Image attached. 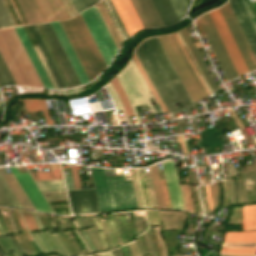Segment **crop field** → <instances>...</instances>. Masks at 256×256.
Masks as SVG:
<instances>
[{
  "instance_id": "obj_1",
  "label": "crop field",
  "mask_w": 256,
  "mask_h": 256,
  "mask_svg": "<svg viewBox=\"0 0 256 256\" xmlns=\"http://www.w3.org/2000/svg\"><path fill=\"white\" fill-rule=\"evenodd\" d=\"M89 81L106 67L80 14L70 20L60 21Z\"/></svg>"
},
{
  "instance_id": "obj_2",
  "label": "crop field",
  "mask_w": 256,
  "mask_h": 256,
  "mask_svg": "<svg viewBox=\"0 0 256 256\" xmlns=\"http://www.w3.org/2000/svg\"><path fill=\"white\" fill-rule=\"evenodd\" d=\"M0 52L17 85L43 87L14 28L0 30Z\"/></svg>"
},
{
  "instance_id": "obj_3",
  "label": "crop field",
  "mask_w": 256,
  "mask_h": 256,
  "mask_svg": "<svg viewBox=\"0 0 256 256\" xmlns=\"http://www.w3.org/2000/svg\"><path fill=\"white\" fill-rule=\"evenodd\" d=\"M90 169L100 212L137 208L131 181L106 182L103 169Z\"/></svg>"
},
{
  "instance_id": "obj_4",
  "label": "crop field",
  "mask_w": 256,
  "mask_h": 256,
  "mask_svg": "<svg viewBox=\"0 0 256 256\" xmlns=\"http://www.w3.org/2000/svg\"><path fill=\"white\" fill-rule=\"evenodd\" d=\"M158 38L193 102L206 98L207 94L202 88V84L200 85L174 34L158 36Z\"/></svg>"
},
{
  "instance_id": "obj_5",
  "label": "crop field",
  "mask_w": 256,
  "mask_h": 256,
  "mask_svg": "<svg viewBox=\"0 0 256 256\" xmlns=\"http://www.w3.org/2000/svg\"><path fill=\"white\" fill-rule=\"evenodd\" d=\"M116 78H117L120 86L122 87L128 101H129V104L131 106V109L133 111V114H134V117H135V120H136L137 124H139L141 122H140L138 114H137V112L134 108V105H133V103L130 99L132 97L142 95L144 100L146 101L147 105L149 106L150 110L152 111V113H155L156 110L154 109V107L152 106L151 102L148 99V98L153 97L155 102L159 106L160 110L162 111V113H164L163 110L161 109L160 105L156 101L155 97L151 93L150 89L146 85L145 81L141 77L140 73L136 69V67H135V65H134V63L132 62L131 59L128 62V64L125 66V68L122 69L116 75Z\"/></svg>"
},
{
  "instance_id": "obj_6",
  "label": "crop field",
  "mask_w": 256,
  "mask_h": 256,
  "mask_svg": "<svg viewBox=\"0 0 256 256\" xmlns=\"http://www.w3.org/2000/svg\"><path fill=\"white\" fill-rule=\"evenodd\" d=\"M106 65L118 51L95 6L80 13Z\"/></svg>"
},
{
  "instance_id": "obj_7",
  "label": "crop field",
  "mask_w": 256,
  "mask_h": 256,
  "mask_svg": "<svg viewBox=\"0 0 256 256\" xmlns=\"http://www.w3.org/2000/svg\"><path fill=\"white\" fill-rule=\"evenodd\" d=\"M200 35L205 34L227 80L237 77V73L222 45V42L208 16L204 14L195 20Z\"/></svg>"
},
{
  "instance_id": "obj_8",
  "label": "crop field",
  "mask_w": 256,
  "mask_h": 256,
  "mask_svg": "<svg viewBox=\"0 0 256 256\" xmlns=\"http://www.w3.org/2000/svg\"><path fill=\"white\" fill-rule=\"evenodd\" d=\"M223 44L224 47L238 73V75H243L245 73H248V69L239 53V50L228 30V27L219 11V9L217 10H213L208 12Z\"/></svg>"
},
{
  "instance_id": "obj_9",
  "label": "crop field",
  "mask_w": 256,
  "mask_h": 256,
  "mask_svg": "<svg viewBox=\"0 0 256 256\" xmlns=\"http://www.w3.org/2000/svg\"><path fill=\"white\" fill-rule=\"evenodd\" d=\"M219 9L229 27V30L239 48V50H240V53L247 65L249 71L256 69V61L248 47V44L238 26V23L228 5V3L219 7Z\"/></svg>"
},
{
  "instance_id": "obj_10",
  "label": "crop field",
  "mask_w": 256,
  "mask_h": 256,
  "mask_svg": "<svg viewBox=\"0 0 256 256\" xmlns=\"http://www.w3.org/2000/svg\"><path fill=\"white\" fill-rule=\"evenodd\" d=\"M71 87L73 86H77L80 85V82L66 56V54L64 53L50 23H44V24H40Z\"/></svg>"
},
{
  "instance_id": "obj_11",
  "label": "crop field",
  "mask_w": 256,
  "mask_h": 256,
  "mask_svg": "<svg viewBox=\"0 0 256 256\" xmlns=\"http://www.w3.org/2000/svg\"><path fill=\"white\" fill-rule=\"evenodd\" d=\"M72 214L99 212L94 188L67 191Z\"/></svg>"
},
{
  "instance_id": "obj_12",
  "label": "crop field",
  "mask_w": 256,
  "mask_h": 256,
  "mask_svg": "<svg viewBox=\"0 0 256 256\" xmlns=\"http://www.w3.org/2000/svg\"><path fill=\"white\" fill-rule=\"evenodd\" d=\"M36 210L52 212L28 172L19 173L16 167H9Z\"/></svg>"
},
{
  "instance_id": "obj_13",
  "label": "crop field",
  "mask_w": 256,
  "mask_h": 256,
  "mask_svg": "<svg viewBox=\"0 0 256 256\" xmlns=\"http://www.w3.org/2000/svg\"><path fill=\"white\" fill-rule=\"evenodd\" d=\"M172 209L183 210L179 182L173 160L162 162Z\"/></svg>"
},
{
  "instance_id": "obj_14",
  "label": "crop field",
  "mask_w": 256,
  "mask_h": 256,
  "mask_svg": "<svg viewBox=\"0 0 256 256\" xmlns=\"http://www.w3.org/2000/svg\"><path fill=\"white\" fill-rule=\"evenodd\" d=\"M135 8L144 28L164 27L151 0H130Z\"/></svg>"
},
{
  "instance_id": "obj_15",
  "label": "crop field",
  "mask_w": 256,
  "mask_h": 256,
  "mask_svg": "<svg viewBox=\"0 0 256 256\" xmlns=\"http://www.w3.org/2000/svg\"><path fill=\"white\" fill-rule=\"evenodd\" d=\"M129 35L143 29V26L129 0H112Z\"/></svg>"
},
{
  "instance_id": "obj_16",
  "label": "crop field",
  "mask_w": 256,
  "mask_h": 256,
  "mask_svg": "<svg viewBox=\"0 0 256 256\" xmlns=\"http://www.w3.org/2000/svg\"><path fill=\"white\" fill-rule=\"evenodd\" d=\"M238 23L239 26L249 44V47L256 59V35L246 17V14L239 2V0H229L228 1Z\"/></svg>"
},
{
  "instance_id": "obj_17",
  "label": "crop field",
  "mask_w": 256,
  "mask_h": 256,
  "mask_svg": "<svg viewBox=\"0 0 256 256\" xmlns=\"http://www.w3.org/2000/svg\"><path fill=\"white\" fill-rule=\"evenodd\" d=\"M51 25L60 41L65 53L67 54L81 84H85V83L89 82L71 45H70V43H69V41H68V39H67V37H66V35H65V33H64V31H63V29H62V27H61V25H60V23H59V21L52 22Z\"/></svg>"
},
{
  "instance_id": "obj_18",
  "label": "crop field",
  "mask_w": 256,
  "mask_h": 256,
  "mask_svg": "<svg viewBox=\"0 0 256 256\" xmlns=\"http://www.w3.org/2000/svg\"><path fill=\"white\" fill-rule=\"evenodd\" d=\"M45 22L69 18L60 0H35Z\"/></svg>"
},
{
  "instance_id": "obj_19",
  "label": "crop field",
  "mask_w": 256,
  "mask_h": 256,
  "mask_svg": "<svg viewBox=\"0 0 256 256\" xmlns=\"http://www.w3.org/2000/svg\"><path fill=\"white\" fill-rule=\"evenodd\" d=\"M15 30H16L28 56L30 57L44 87L53 88L35 51H34V49H33V47H32V45H31V43H30V41H29V39H28V37H27V35H26V33H25V31H24V29H23V27L15 28Z\"/></svg>"
},
{
  "instance_id": "obj_20",
  "label": "crop field",
  "mask_w": 256,
  "mask_h": 256,
  "mask_svg": "<svg viewBox=\"0 0 256 256\" xmlns=\"http://www.w3.org/2000/svg\"><path fill=\"white\" fill-rule=\"evenodd\" d=\"M180 32H181L182 36L184 37L185 41L187 42L196 62L198 63L199 67L201 68L202 72L204 73L205 77L207 78L209 84L211 85V87L214 91L215 89H217V86H216L213 78L211 77L198 49L196 48L187 28Z\"/></svg>"
},
{
  "instance_id": "obj_21",
  "label": "crop field",
  "mask_w": 256,
  "mask_h": 256,
  "mask_svg": "<svg viewBox=\"0 0 256 256\" xmlns=\"http://www.w3.org/2000/svg\"><path fill=\"white\" fill-rule=\"evenodd\" d=\"M0 173L2 174L3 178L11 188L12 192L20 202L21 206L23 209H30V210H35L33 205L31 204L30 200L18 184L17 180L13 176V174H4L3 171L0 168Z\"/></svg>"
},
{
  "instance_id": "obj_22",
  "label": "crop field",
  "mask_w": 256,
  "mask_h": 256,
  "mask_svg": "<svg viewBox=\"0 0 256 256\" xmlns=\"http://www.w3.org/2000/svg\"><path fill=\"white\" fill-rule=\"evenodd\" d=\"M28 23H41L44 22L34 0H17Z\"/></svg>"
},
{
  "instance_id": "obj_23",
  "label": "crop field",
  "mask_w": 256,
  "mask_h": 256,
  "mask_svg": "<svg viewBox=\"0 0 256 256\" xmlns=\"http://www.w3.org/2000/svg\"><path fill=\"white\" fill-rule=\"evenodd\" d=\"M95 6H96L102 20L104 21L110 35L112 36L118 50H119V48L122 46L123 42H122V40H121V38H120L112 20H111V18H110L109 14L106 10L103 2H100Z\"/></svg>"
},
{
  "instance_id": "obj_24",
  "label": "crop field",
  "mask_w": 256,
  "mask_h": 256,
  "mask_svg": "<svg viewBox=\"0 0 256 256\" xmlns=\"http://www.w3.org/2000/svg\"><path fill=\"white\" fill-rule=\"evenodd\" d=\"M0 206L22 209L8 185L0 175Z\"/></svg>"
},
{
  "instance_id": "obj_25",
  "label": "crop field",
  "mask_w": 256,
  "mask_h": 256,
  "mask_svg": "<svg viewBox=\"0 0 256 256\" xmlns=\"http://www.w3.org/2000/svg\"><path fill=\"white\" fill-rule=\"evenodd\" d=\"M256 229V204L243 207V230Z\"/></svg>"
},
{
  "instance_id": "obj_26",
  "label": "crop field",
  "mask_w": 256,
  "mask_h": 256,
  "mask_svg": "<svg viewBox=\"0 0 256 256\" xmlns=\"http://www.w3.org/2000/svg\"><path fill=\"white\" fill-rule=\"evenodd\" d=\"M256 241V231L226 232L224 242H250Z\"/></svg>"
},
{
  "instance_id": "obj_27",
  "label": "crop field",
  "mask_w": 256,
  "mask_h": 256,
  "mask_svg": "<svg viewBox=\"0 0 256 256\" xmlns=\"http://www.w3.org/2000/svg\"><path fill=\"white\" fill-rule=\"evenodd\" d=\"M27 112L42 110L48 124L50 123L44 99H22Z\"/></svg>"
},
{
  "instance_id": "obj_28",
  "label": "crop field",
  "mask_w": 256,
  "mask_h": 256,
  "mask_svg": "<svg viewBox=\"0 0 256 256\" xmlns=\"http://www.w3.org/2000/svg\"><path fill=\"white\" fill-rule=\"evenodd\" d=\"M51 172L31 173L34 180L63 179L59 164H50Z\"/></svg>"
},
{
  "instance_id": "obj_29",
  "label": "crop field",
  "mask_w": 256,
  "mask_h": 256,
  "mask_svg": "<svg viewBox=\"0 0 256 256\" xmlns=\"http://www.w3.org/2000/svg\"><path fill=\"white\" fill-rule=\"evenodd\" d=\"M105 86H106V88H107V90H108V92H109V94H110V96H111V98H112V100L115 104V107H116L118 113H122L124 119L127 120L128 125H130L129 122H128V119L126 117V114L124 112V109L121 105V102L118 98V95H117L115 89L113 88L112 84L110 83V81Z\"/></svg>"
},
{
  "instance_id": "obj_30",
  "label": "crop field",
  "mask_w": 256,
  "mask_h": 256,
  "mask_svg": "<svg viewBox=\"0 0 256 256\" xmlns=\"http://www.w3.org/2000/svg\"><path fill=\"white\" fill-rule=\"evenodd\" d=\"M132 60L135 63V65L137 66L138 70L140 71V73L142 74L143 78L145 79L146 83L148 84V86L150 87L151 91L153 92L154 96L156 97V99L158 100L159 104L161 105V107L163 108L164 112H167V109L165 108V106L163 105L162 101L160 100V98L158 97V95L156 94L147 74L145 73V71L143 70L142 66L140 65V63L138 62L135 54L133 53L132 55Z\"/></svg>"
},
{
  "instance_id": "obj_31",
  "label": "crop field",
  "mask_w": 256,
  "mask_h": 256,
  "mask_svg": "<svg viewBox=\"0 0 256 256\" xmlns=\"http://www.w3.org/2000/svg\"><path fill=\"white\" fill-rule=\"evenodd\" d=\"M40 190L65 189L62 180L36 181Z\"/></svg>"
},
{
  "instance_id": "obj_32",
  "label": "crop field",
  "mask_w": 256,
  "mask_h": 256,
  "mask_svg": "<svg viewBox=\"0 0 256 256\" xmlns=\"http://www.w3.org/2000/svg\"><path fill=\"white\" fill-rule=\"evenodd\" d=\"M209 188V194H210V205L211 209H216L218 203H219V195H220V189L218 185V181H216L213 185H208Z\"/></svg>"
},
{
  "instance_id": "obj_33",
  "label": "crop field",
  "mask_w": 256,
  "mask_h": 256,
  "mask_svg": "<svg viewBox=\"0 0 256 256\" xmlns=\"http://www.w3.org/2000/svg\"><path fill=\"white\" fill-rule=\"evenodd\" d=\"M179 20L186 15L187 5L184 0H170Z\"/></svg>"
},
{
  "instance_id": "obj_34",
  "label": "crop field",
  "mask_w": 256,
  "mask_h": 256,
  "mask_svg": "<svg viewBox=\"0 0 256 256\" xmlns=\"http://www.w3.org/2000/svg\"><path fill=\"white\" fill-rule=\"evenodd\" d=\"M240 2H241L242 6H243V8H244V10L247 14V17H248L255 33H256V17H255V14H254L248 0H240Z\"/></svg>"
},
{
  "instance_id": "obj_35",
  "label": "crop field",
  "mask_w": 256,
  "mask_h": 256,
  "mask_svg": "<svg viewBox=\"0 0 256 256\" xmlns=\"http://www.w3.org/2000/svg\"><path fill=\"white\" fill-rule=\"evenodd\" d=\"M220 252L251 255V254H255L256 248H221Z\"/></svg>"
},
{
  "instance_id": "obj_36",
  "label": "crop field",
  "mask_w": 256,
  "mask_h": 256,
  "mask_svg": "<svg viewBox=\"0 0 256 256\" xmlns=\"http://www.w3.org/2000/svg\"><path fill=\"white\" fill-rule=\"evenodd\" d=\"M110 81L113 84L114 88L116 89V91H117V93H118V95L120 97V100L122 102V105H123L126 113L127 114L131 113L132 111H131V109L129 107V104H128V102H127V100H126V98H125V96H124V94H123V92H122L118 82L116 81L115 77H113Z\"/></svg>"
},
{
  "instance_id": "obj_37",
  "label": "crop field",
  "mask_w": 256,
  "mask_h": 256,
  "mask_svg": "<svg viewBox=\"0 0 256 256\" xmlns=\"http://www.w3.org/2000/svg\"><path fill=\"white\" fill-rule=\"evenodd\" d=\"M21 212H22L24 220H25V222H26V224L28 226V229L31 230V231L37 230V227H36V225H35V223L33 221L31 213L30 212H23V211H21Z\"/></svg>"
},
{
  "instance_id": "obj_38",
  "label": "crop field",
  "mask_w": 256,
  "mask_h": 256,
  "mask_svg": "<svg viewBox=\"0 0 256 256\" xmlns=\"http://www.w3.org/2000/svg\"><path fill=\"white\" fill-rule=\"evenodd\" d=\"M7 240H8V242L11 244V246L13 247V249H14V251L16 252V254L18 255V256H21V254L18 252V250L15 248V246L13 245V243L11 242V240L9 239V237L8 238H6ZM5 239V237H2V240L4 241V243L6 244V246L8 247V249H11L12 247L10 246V244L7 242V240ZM1 240V238H0V241L2 242V244L5 246V244L3 243V241ZM1 242H0V246H1V248L4 250V251H6L7 252V247L5 246V248L7 249H5L4 248V246L1 244ZM8 252H10L9 250H8ZM7 252V253H8ZM15 253H13V256H17Z\"/></svg>"
},
{
  "instance_id": "obj_39",
  "label": "crop field",
  "mask_w": 256,
  "mask_h": 256,
  "mask_svg": "<svg viewBox=\"0 0 256 256\" xmlns=\"http://www.w3.org/2000/svg\"><path fill=\"white\" fill-rule=\"evenodd\" d=\"M70 168L75 189L81 188L76 166L70 165Z\"/></svg>"
},
{
  "instance_id": "obj_40",
  "label": "crop field",
  "mask_w": 256,
  "mask_h": 256,
  "mask_svg": "<svg viewBox=\"0 0 256 256\" xmlns=\"http://www.w3.org/2000/svg\"><path fill=\"white\" fill-rule=\"evenodd\" d=\"M183 188H184V192H185V196H186L188 211L193 212L192 201H191V195H190L189 187H188V185H183Z\"/></svg>"
},
{
  "instance_id": "obj_41",
  "label": "crop field",
  "mask_w": 256,
  "mask_h": 256,
  "mask_svg": "<svg viewBox=\"0 0 256 256\" xmlns=\"http://www.w3.org/2000/svg\"><path fill=\"white\" fill-rule=\"evenodd\" d=\"M227 247H256V243H224Z\"/></svg>"
},
{
  "instance_id": "obj_42",
  "label": "crop field",
  "mask_w": 256,
  "mask_h": 256,
  "mask_svg": "<svg viewBox=\"0 0 256 256\" xmlns=\"http://www.w3.org/2000/svg\"><path fill=\"white\" fill-rule=\"evenodd\" d=\"M108 215V218H109V222H110V226H111V230H112V235H113V240H114V243H115V246H117V241H116V237H115V233H114V228H113V224H112V220H111V216H110V214H107ZM113 216V215H112ZM114 217H115V214H114ZM114 217H113V221H114ZM107 219V218H106ZM115 221H116V218H115ZM115 221H114V226H115ZM108 224V223H107ZM116 225H117V222H116ZM110 226H109V228H110ZM109 228H108V230H109ZM115 230H116V228H115ZM117 230H118V228H117ZM109 234H110V231H109ZM108 234V235H109ZM117 234V233H116ZM117 236H118V234H117ZM110 237H111V235H110ZM109 237V238H110ZM111 241H112V239H111ZM112 246H113V243H112Z\"/></svg>"
},
{
  "instance_id": "obj_43",
  "label": "crop field",
  "mask_w": 256,
  "mask_h": 256,
  "mask_svg": "<svg viewBox=\"0 0 256 256\" xmlns=\"http://www.w3.org/2000/svg\"><path fill=\"white\" fill-rule=\"evenodd\" d=\"M174 34H175V36H176V38H177V40H178L179 44L181 45V47H182V49H183V51H184V53H185L186 57L188 58V60H189V62H190V64H191V66H192V68L194 69V71H195V73H196V75H197V77H198V79H199L200 83L202 84L203 88L206 90V92L208 93V95H210L211 93L209 94L208 90L206 89L205 85L203 84V82H202V80H201L200 76L198 75V73H197L196 69L194 68V66H193V64H192V62H191V60L189 59V57H188V55H187L186 51L184 50V48H183V46H182L181 42L179 41V39H178V37H177L176 33H174Z\"/></svg>"
},
{
  "instance_id": "obj_44",
  "label": "crop field",
  "mask_w": 256,
  "mask_h": 256,
  "mask_svg": "<svg viewBox=\"0 0 256 256\" xmlns=\"http://www.w3.org/2000/svg\"><path fill=\"white\" fill-rule=\"evenodd\" d=\"M155 212H156V216H157V220H158V211H155ZM145 213H146L148 225H155L152 211H145ZM156 216H155V218H156ZM157 220H156V223H157ZM158 224H159V222H158Z\"/></svg>"
},
{
  "instance_id": "obj_45",
  "label": "crop field",
  "mask_w": 256,
  "mask_h": 256,
  "mask_svg": "<svg viewBox=\"0 0 256 256\" xmlns=\"http://www.w3.org/2000/svg\"><path fill=\"white\" fill-rule=\"evenodd\" d=\"M72 2L74 4L77 12H80V11L86 9V7H85V5H84L82 0H72Z\"/></svg>"
},
{
  "instance_id": "obj_46",
  "label": "crop field",
  "mask_w": 256,
  "mask_h": 256,
  "mask_svg": "<svg viewBox=\"0 0 256 256\" xmlns=\"http://www.w3.org/2000/svg\"><path fill=\"white\" fill-rule=\"evenodd\" d=\"M43 235V237L45 238V240L47 241V243L49 244V246L52 248V250H57L56 252H59V250L56 248V246L54 245V243L51 241V239L49 238V236L47 235V232L44 231L41 233Z\"/></svg>"
},
{
  "instance_id": "obj_47",
  "label": "crop field",
  "mask_w": 256,
  "mask_h": 256,
  "mask_svg": "<svg viewBox=\"0 0 256 256\" xmlns=\"http://www.w3.org/2000/svg\"><path fill=\"white\" fill-rule=\"evenodd\" d=\"M97 221L99 223L100 228L103 230L101 222H100V219L97 218ZM99 233H100V237H101V240H102V243H103L104 247H108L107 242H106V238H105V235H104V232L100 231Z\"/></svg>"
},
{
  "instance_id": "obj_48",
  "label": "crop field",
  "mask_w": 256,
  "mask_h": 256,
  "mask_svg": "<svg viewBox=\"0 0 256 256\" xmlns=\"http://www.w3.org/2000/svg\"><path fill=\"white\" fill-rule=\"evenodd\" d=\"M60 233H61V235L64 237V239L67 241V239L65 238V236L63 235V233H62V232H60ZM60 233H58V234L60 235ZM64 233H65V232H64ZM61 235H60V237L63 239V237H62ZM65 235H66V234H65ZM66 236H67V235H66ZM67 238H68V237H67ZM64 239H63V241L66 243V241H65ZM70 242H71V241H70ZM67 243L69 244L68 241H67ZM67 243H66L67 247H68L69 250L72 252V250H73V248H74V247H73L74 245L72 246V247H73V248H72V247H71L72 244H71V243H70L71 245L69 244V246H70L71 249H72V250H71ZM74 250H75V248H74ZM74 250H73V252L75 253V255H77V253L75 252L77 249H76L75 251H74ZM73 252H72V254L74 255ZM77 252H78V251H77ZM78 254H79V252H78Z\"/></svg>"
},
{
  "instance_id": "obj_49",
  "label": "crop field",
  "mask_w": 256,
  "mask_h": 256,
  "mask_svg": "<svg viewBox=\"0 0 256 256\" xmlns=\"http://www.w3.org/2000/svg\"><path fill=\"white\" fill-rule=\"evenodd\" d=\"M176 137H177V139H178V141H179V143H180V146H181V148H182L183 153H184V154H188L187 149H186V147H185V145H184V143H183L181 137H180V136H176Z\"/></svg>"
},
{
  "instance_id": "obj_50",
  "label": "crop field",
  "mask_w": 256,
  "mask_h": 256,
  "mask_svg": "<svg viewBox=\"0 0 256 256\" xmlns=\"http://www.w3.org/2000/svg\"><path fill=\"white\" fill-rule=\"evenodd\" d=\"M15 211H16L17 217H18V219L20 221V224H21V227H22L23 231L26 233V235L28 236L29 240H31V237L28 235V233H27V231H26V229H25V227H24V225L22 223V220H21V217H20L18 211L17 210H15Z\"/></svg>"
},
{
  "instance_id": "obj_51",
  "label": "crop field",
  "mask_w": 256,
  "mask_h": 256,
  "mask_svg": "<svg viewBox=\"0 0 256 256\" xmlns=\"http://www.w3.org/2000/svg\"><path fill=\"white\" fill-rule=\"evenodd\" d=\"M83 1H84L87 8L90 7L91 5L99 2V0H83Z\"/></svg>"
},
{
  "instance_id": "obj_52",
  "label": "crop field",
  "mask_w": 256,
  "mask_h": 256,
  "mask_svg": "<svg viewBox=\"0 0 256 256\" xmlns=\"http://www.w3.org/2000/svg\"><path fill=\"white\" fill-rule=\"evenodd\" d=\"M21 214V213H20ZM22 217V215H21ZM22 220H23V217H22ZM23 223H24V220H23ZM25 225V223H24ZM26 227V226H25ZM27 229V228H26ZM28 231V230H27ZM29 232V231H28ZM30 236L33 238V240L35 241V243L37 244V246L40 248V250L42 251V253H44V250L41 248V246L38 244V242L36 241V239L33 237V235L30 233Z\"/></svg>"
},
{
  "instance_id": "obj_53",
  "label": "crop field",
  "mask_w": 256,
  "mask_h": 256,
  "mask_svg": "<svg viewBox=\"0 0 256 256\" xmlns=\"http://www.w3.org/2000/svg\"><path fill=\"white\" fill-rule=\"evenodd\" d=\"M58 240L60 241V243L62 244V246L64 247V249L67 251V253L69 254V256H72V254L70 253V251L67 249L66 245L63 243V241L60 239L59 236H57Z\"/></svg>"
},
{
  "instance_id": "obj_54",
  "label": "crop field",
  "mask_w": 256,
  "mask_h": 256,
  "mask_svg": "<svg viewBox=\"0 0 256 256\" xmlns=\"http://www.w3.org/2000/svg\"><path fill=\"white\" fill-rule=\"evenodd\" d=\"M33 235H34L35 238L38 240V242L40 243V245L42 246V248L45 250V252H48L47 249L45 248V246L43 245V243L40 241V239H39L38 236L36 235V233H33Z\"/></svg>"
},
{
  "instance_id": "obj_55",
  "label": "crop field",
  "mask_w": 256,
  "mask_h": 256,
  "mask_svg": "<svg viewBox=\"0 0 256 256\" xmlns=\"http://www.w3.org/2000/svg\"><path fill=\"white\" fill-rule=\"evenodd\" d=\"M74 220L78 224L79 227H84L81 220H80V217H76V218H74Z\"/></svg>"
},
{
  "instance_id": "obj_56",
  "label": "crop field",
  "mask_w": 256,
  "mask_h": 256,
  "mask_svg": "<svg viewBox=\"0 0 256 256\" xmlns=\"http://www.w3.org/2000/svg\"><path fill=\"white\" fill-rule=\"evenodd\" d=\"M38 235L40 234V233H37ZM40 237H41V239H42V241H43V243H44V245L46 246V248L49 250V251H51V248L48 246V244L45 242V240L43 239V237L40 235ZM39 237V238H40Z\"/></svg>"
},
{
  "instance_id": "obj_57",
  "label": "crop field",
  "mask_w": 256,
  "mask_h": 256,
  "mask_svg": "<svg viewBox=\"0 0 256 256\" xmlns=\"http://www.w3.org/2000/svg\"><path fill=\"white\" fill-rule=\"evenodd\" d=\"M100 256H112V255H111V252L108 251V252H105V253H101Z\"/></svg>"
},
{
  "instance_id": "obj_58",
  "label": "crop field",
  "mask_w": 256,
  "mask_h": 256,
  "mask_svg": "<svg viewBox=\"0 0 256 256\" xmlns=\"http://www.w3.org/2000/svg\"><path fill=\"white\" fill-rule=\"evenodd\" d=\"M52 236H53V238L56 240V242L58 243V245L61 247V245H60V243H59V241L56 239V237L54 236V234H52ZM61 249L63 250V248L61 247ZM63 252L65 253V251L63 250ZM66 254V253H65ZM66 256H67V254H66Z\"/></svg>"
},
{
  "instance_id": "obj_59",
  "label": "crop field",
  "mask_w": 256,
  "mask_h": 256,
  "mask_svg": "<svg viewBox=\"0 0 256 256\" xmlns=\"http://www.w3.org/2000/svg\"><path fill=\"white\" fill-rule=\"evenodd\" d=\"M49 236L51 237V239L54 241L55 245L58 247V249L62 252V250L59 248V246L56 244L55 240L52 238L51 234L49 233V231H47ZM63 253V252H62ZM64 254V253H63Z\"/></svg>"
},
{
  "instance_id": "obj_60",
  "label": "crop field",
  "mask_w": 256,
  "mask_h": 256,
  "mask_svg": "<svg viewBox=\"0 0 256 256\" xmlns=\"http://www.w3.org/2000/svg\"><path fill=\"white\" fill-rule=\"evenodd\" d=\"M32 244L35 247V249L37 250L38 254H41L40 250L37 248V246L35 245L34 241H32Z\"/></svg>"
},
{
  "instance_id": "obj_61",
  "label": "crop field",
  "mask_w": 256,
  "mask_h": 256,
  "mask_svg": "<svg viewBox=\"0 0 256 256\" xmlns=\"http://www.w3.org/2000/svg\"><path fill=\"white\" fill-rule=\"evenodd\" d=\"M74 230H75V232L77 233V235L80 237V235L78 234L77 230H76V229H74ZM80 239H81V237H80ZM81 240H82V239H81ZM82 242H83V241H82ZM83 244H84V242H83ZM84 245H85V244H84ZM85 247H86V249L88 250V252H90L86 245H85Z\"/></svg>"
},
{
  "instance_id": "obj_62",
  "label": "crop field",
  "mask_w": 256,
  "mask_h": 256,
  "mask_svg": "<svg viewBox=\"0 0 256 256\" xmlns=\"http://www.w3.org/2000/svg\"><path fill=\"white\" fill-rule=\"evenodd\" d=\"M93 220H94V222H95V224H96L97 229H100L99 226H98V223H97V221H96V218H94Z\"/></svg>"
},
{
  "instance_id": "obj_63",
  "label": "crop field",
  "mask_w": 256,
  "mask_h": 256,
  "mask_svg": "<svg viewBox=\"0 0 256 256\" xmlns=\"http://www.w3.org/2000/svg\"><path fill=\"white\" fill-rule=\"evenodd\" d=\"M205 188H206V193H207V198H208V189H207V185L205 186ZM208 203H209V198H208ZM209 207H210V205H209ZM211 210V209H210Z\"/></svg>"
},
{
  "instance_id": "obj_64",
  "label": "crop field",
  "mask_w": 256,
  "mask_h": 256,
  "mask_svg": "<svg viewBox=\"0 0 256 256\" xmlns=\"http://www.w3.org/2000/svg\"><path fill=\"white\" fill-rule=\"evenodd\" d=\"M228 182H229V185H230V195H231V184H230V181H228ZM232 189H233V185H232ZM232 203H233V201H232Z\"/></svg>"
},
{
  "instance_id": "obj_65",
  "label": "crop field",
  "mask_w": 256,
  "mask_h": 256,
  "mask_svg": "<svg viewBox=\"0 0 256 256\" xmlns=\"http://www.w3.org/2000/svg\"><path fill=\"white\" fill-rule=\"evenodd\" d=\"M186 2H187V4H188V6H189V4H190L191 0H186Z\"/></svg>"
},
{
  "instance_id": "obj_66",
  "label": "crop field",
  "mask_w": 256,
  "mask_h": 256,
  "mask_svg": "<svg viewBox=\"0 0 256 256\" xmlns=\"http://www.w3.org/2000/svg\"><path fill=\"white\" fill-rule=\"evenodd\" d=\"M1 234H4V233H3V231H2V229H1V227H0V235H1Z\"/></svg>"
},
{
  "instance_id": "obj_67",
  "label": "crop field",
  "mask_w": 256,
  "mask_h": 256,
  "mask_svg": "<svg viewBox=\"0 0 256 256\" xmlns=\"http://www.w3.org/2000/svg\"><path fill=\"white\" fill-rule=\"evenodd\" d=\"M194 209H195V212L197 213V208H196V205H194Z\"/></svg>"
},
{
  "instance_id": "obj_68",
  "label": "crop field",
  "mask_w": 256,
  "mask_h": 256,
  "mask_svg": "<svg viewBox=\"0 0 256 256\" xmlns=\"http://www.w3.org/2000/svg\"><path fill=\"white\" fill-rule=\"evenodd\" d=\"M221 256H232V255H221Z\"/></svg>"
},
{
  "instance_id": "obj_69",
  "label": "crop field",
  "mask_w": 256,
  "mask_h": 256,
  "mask_svg": "<svg viewBox=\"0 0 256 256\" xmlns=\"http://www.w3.org/2000/svg\"><path fill=\"white\" fill-rule=\"evenodd\" d=\"M5 220V219H4ZM6 223H7V221H6ZM7 226H8V224H7ZM9 228V227H8ZM12 230V229H11ZM13 232V231H12Z\"/></svg>"
},
{
  "instance_id": "obj_70",
  "label": "crop field",
  "mask_w": 256,
  "mask_h": 256,
  "mask_svg": "<svg viewBox=\"0 0 256 256\" xmlns=\"http://www.w3.org/2000/svg\"><path fill=\"white\" fill-rule=\"evenodd\" d=\"M255 161H256V159H255Z\"/></svg>"
},
{
  "instance_id": "obj_71",
  "label": "crop field",
  "mask_w": 256,
  "mask_h": 256,
  "mask_svg": "<svg viewBox=\"0 0 256 256\" xmlns=\"http://www.w3.org/2000/svg\"><path fill=\"white\" fill-rule=\"evenodd\" d=\"M91 256V255H90Z\"/></svg>"
},
{
  "instance_id": "obj_72",
  "label": "crop field",
  "mask_w": 256,
  "mask_h": 256,
  "mask_svg": "<svg viewBox=\"0 0 256 256\" xmlns=\"http://www.w3.org/2000/svg\"><path fill=\"white\" fill-rule=\"evenodd\" d=\"M1 28V27H0Z\"/></svg>"
}]
</instances>
